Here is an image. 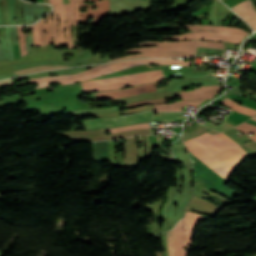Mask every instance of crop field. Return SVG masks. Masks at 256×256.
Here are the masks:
<instances>
[{
  "label": "crop field",
  "mask_w": 256,
  "mask_h": 256,
  "mask_svg": "<svg viewBox=\"0 0 256 256\" xmlns=\"http://www.w3.org/2000/svg\"><path fill=\"white\" fill-rule=\"evenodd\" d=\"M184 143L189 152L227 181L246 158V152L223 133L210 135L206 132ZM191 153L189 155L194 164L195 178L225 198L232 200L238 193L225 187L227 181Z\"/></svg>",
  "instance_id": "crop-field-1"
},
{
  "label": "crop field",
  "mask_w": 256,
  "mask_h": 256,
  "mask_svg": "<svg viewBox=\"0 0 256 256\" xmlns=\"http://www.w3.org/2000/svg\"><path fill=\"white\" fill-rule=\"evenodd\" d=\"M183 113H140L118 118H104L81 121L85 130L129 126L143 122H179L185 118ZM186 117V116H185Z\"/></svg>",
  "instance_id": "crop-field-2"
},
{
  "label": "crop field",
  "mask_w": 256,
  "mask_h": 256,
  "mask_svg": "<svg viewBox=\"0 0 256 256\" xmlns=\"http://www.w3.org/2000/svg\"><path fill=\"white\" fill-rule=\"evenodd\" d=\"M165 80L162 71H154L118 78L82 82L85 92L113 90Z\"/></svg>",
  "instance_id": "crop-field-3"
},
{
  "label": "crop field",
  "mask_w": 256,
  "mask_h": 256,
  "mask_svg": "<svg viewBox=\"0 0 256 256\" xmlns=\"http://www.w3.org/2000/svg\"><path fill=\"white\" fill-rule=\"evenodd\" d=\"M155 85L156 83L147 84L131 89L96 93V96L97 100L100 101L108 98L153 92L156 91ZM219 90H221V88H219L218 86L201 87L200 89H195L194 91H182L179 97L181 99H211L214 94Z\"/></svg>",
  "instance_id": "crop-field-4"
},
{
  "label": "crop field",
  "mask_w": 256,
  "mask_h": 256,
  "mask_svg": "<svg viewBox=\"0 0 256 256\" xmlns=\"http://www.w3.org/2000/svg\"><path fill=\"white\" fill-rule=\"evenodd\" d=\"M191 62H192V60H188V62H184L183 60H168V59H142V60H135V61L119 62L113 66L103 68L93 74L86 75L81 78H77V79H73V80H59V81H49V82L40 83V84H38L39 87H37V89L49 87V83H53V82H60L61 85L68 84V83H74V82H82V81H85V80H88L91 78L106 75V74H109L112 72L123 70V69L129 68V67H133L136 65L154 63V64H176V65L190 66Z\"/></svg>",
  "instance_id": "crop-field-5"
},
{
  "label": "crop field",
  "mask_w": 256,
  "mask_h": 256,
  "mask_svg": "<svg viewBox=\"0 0 256 256\" xmlns=\"http://www.w3.org/2000/svg\"><path fill=\"white\" fill-rule=\"evenodd\" d=\"M163 37L168 40L203 39V40L223 41V42H231V43H240L241 40L244 38L243 36L213 33V32H193V33L176 35L172 37H168V36H163Z\"/></svg>",
  "instance_id": "crop-field-6"
},
{
  "label": "crop field",
  "mask_w": 256,
  "mask_h": 256,
  "mask_svg": "<svg viewBox=\"0 0 256 256\" xmlns=\"http://www.w3.org/2000/svg\"><path fill=\"white\" fill-rule=\"evenodd\" d=\"M83 1H86V0H77L79 22L88 23L87 18L92 16L94 18V20L92 22H90L89 24L97 25L99 20L101 18L105 17V13L107 11H109V0H103L101 2H99L98 0H90V1H95V3L92 5L84 4ZM86 5L89 6L87 8V12H80L79 8L84 7ZM92 6H98V8L95 10H91Z\"/></svg>",
  "instance_id": "crop-field-7"
},
{
  "label": "crop field",
  "mask_w": 256,
  "mask_h": 256,
  "mask_svg": "<svg viewBox=\"0 0 256 256\" xmlns=\"http://www.w3.org/2000/svg\"><path fill=\"white\" fill-rule=\"evenodd\" d=\"M231 8L256 31V11L250 0L243 1Z\"/></svg>",
  "instance_id": "crop-field-8"
},
{
  "label": "crop field",
  "mask_w": 256,
  "mask_h": 256,
  "mask_svg": "<svg viewBox=\"0 0 256 256\" xmlns=\"http://www.w3.org/2000/svg\"><path fill=\"white\" fill-rule=\"evenodd\" d=\"M196 51L197 48L191 47H145L127 50V54L137 52H186L196 54Z\"/></svg>",
  "instance_id": "crop-field-9"
},
{
  "label": "crop field",
  "mask_w": 256,
  "mask_h": 256,
  "mask_svg": "<svg viewBox=\"0 0 256 256\" xmlns=\"http://www.w3.org/2000/svg\"><path fill=\"white\" fill-rule=\"evenodd\" d=\"M191 31H197V30H214L217 32H226V33H232V34H239L243 36H247L249 33L232 28V27H220V26H205V25H186Z\"/></svg>",
  "instance_id": "crop-field-10"
},
{
  "label": "crop field",
  "mask_w": 256,
  "mask_h": 256,
  "mask_svg": "<svg viewBox=\"0 0 256 256\" xmlns=\"http://www.w3.org/2000/svg\"><path fill=\"white\" fill-rule=\"evenodd\" d=\"M174 241L177 256H186V250L183 243V225L182 220L178 222L176 228L174 229Z\"/></svg>",
  "instance_id": "crop-field-11"
},
{
  "label": "crop field",
  "mask_w": 256,
  "mask_h": 256,
  "mask_svg": "<svg viewBox=\"0 0 256 256\" xmlns=\"http://www.w3.org/2000/svg\"><path fill=\"white\" fill-rule=\"evenodd\" d=\"M115 64V63H113ZM109 65H112V64H102V65H99L97 67H94L92 69H89V70H86L84 72H81V73H78V74H75V75H71V76H52V77H41V78H36V79H31L30 82L31 84H34V83H39V82H44V81H49V80H59V79H71V78H76V77H80V76H83V75H86V74H90L102 67H105V66H109Z\"/></svg>",
  "instance_id": "crop-field-12"
},
{
  "label": "crop field",
  "mask_w": 256,
  "mask_h": 256,
  "mask_svg": "<svg viewBox=\"0 0 256 256\" xmlns=\"http://www.w3.org/2000/svg\"><path fill=\"white\" fill-rule=\"evenodd\" d=\"M33 29V38L35 46H44L46 45L44 39V30H45V20L41 19L36 25L26 26Z\"/></svg>",
  "instance_id": "crop-field-13"
},
{
  "label": "crop field",
  "mask_w": 256,
  "mask_h": 256,
  "mask_svg": "<svg viewBox=\"0 0 256 256\" xmlns=\"http://www.w3.org/2000/svg\"><path fill=\"white\" fill-rule=\"evenodd\" d=\"M190 56H195V55L185 54V53H142V54H138V55L113 59L108 62H113L116 60H123V59L137 58V57H190Z\"/></svg>",
  "instance_id": "crop-field-14"
},
{
  "label": "crop field",
  "mask_w": 256,
  "mask_h": 256,
  "mask_svg": "<svg viewBox=\"0 0 256 256\" xmlns=\"http://www.w3.org/2000/svg\"><path fill=\"white\" fill-rule=\"evenodd\" d=\"M108 145L107 142L94 143V161H107Z\"/></svg>",
  "instance_id": "crop-field-15"
},
{
  "label": "crop field",
  "mask_w": 256,
  "mask_h": 256,
  "mask_svg": "<svg viewBox=\"0 0 256 256\" xmlns=\"http://www.w3.org/2000/svg\"><path fill=\"white\" fill-rule=\"evenodd\" d=\"M139 47L151 46V45H163V46H192L197 47V41H177V42H142L138 43Z\"/></svg>",
  "instance_id": "crop-field-16"
},
{
  "label": "crop field",
  "mask_w": 256,
  "mask_h": 256,
  "mask_svg": "<svg viewBox=\"0 0 256 256\" xmlns=\"http://www.w3.org/2000/svg\"><path fill=\"white\" fill-rule=\"evenodd\" d=\"M64 6H65V12H66V43L68 48L72 49L74 46L72 45V36H71L72 16L70 12V4H67Z\"/></svg>",
  "instance_id": "crop-field-17"
},
{
  "label": "crop field",
  "mask_w": 256,
  "mask_h": 256,
  "mask_svg": "<svg viewBox=\"0 0 256 256\" xmlns=\"http://www.w3.org/2000/svg\"><path fill=\"white\" fill-rule=\"evenodd\" d=\"M58 14H59V42L60 46L66 45L64 40V25H65V12L63 5H59Z\"/></svg>",
  "instance_id": "crop-field-18"
},
{
  "label": "crop field",
  "mask_w": 256,
  "mask_h": 256,
  "mask_svg": "<svg viewBox=\"0 0 256 256\" xmlns=\"http://www.w3.org/2000/svg\"><path fill=\"white\" fill-rule=\"evenodd\" d=\"M52 35H53L54 47H59V43H58V14H57L56 6H53Z\"/></svg>",
  "instance_id": "crop-field-19"
},
{
  "label": "crop field",
  "mask_w": 256,
  "mask_h": 256,
  "mask_svg": "<svg viewBox=\"0 0 256 256\" xmlns=\"http://www.w3.org/2000/svg\"><path fill=\"white\" fill-rule=\"evenodd\" d=\"M232 112H233V110H232ZM249 118H251V116H247V115H243V114H239V113L233 112L230 116H228L225 119V121L230 123V124H232V125H234V126H236V125L244 122L245 120H247Z\"/></svg>",
  "instance_id": "crop-field-20"
},
{
  "label": "crop field",
  "mask_w": 256,
  "mask_h": 256,
  "mask_svg": "<svg viewBox=\"0 0 256 256\" xmlns=\"http://www.w3.org/2000/svg\"><path fill=\"white\" fill-rule=\"evenodd\" d=\"M68 66H39L35 68H29V69H23L19 71H15L17 75L24 74V73H29V72H35V71H41V70H50V69H59V68H65Z\"/></svg>",
  "instance_id": "crop-field-21"
},
{
  "label": "crop field",
  "mask_w": 256,
  "mask_h": 256,
  "mask_svg": "<svg viewBox=\"0 0 256 256\" xmlns=\"http://www.w3.org/2000/svg\"><path fill=\"white\" fill-rule=\"evenodd\" d=\"M141 128H150V125L149 123H143V124H137L129 127L103 129V130H110L111 133H116V132H124V131L136 130Z\"/></svg>",
  "instance_id": "crop-field-22"
},
{
  "label": "crop field",
  "mask_w": 256,
  "mask_h": 256,
  "mask_svg": "<svg viewBox=\"0 0 256 256\" xmlns=\"http://www.w3.org/2000/svg\"><path fill=\"white\" fill-rule=\"evenodd\" d=\"M235 128L243 131L246 135L250 132L253 133L254 134L253 136L250 137L249 135L248 137L251 138L256 143V127L255 126L243 123L241 125L236 126Z\"/></svg>",
  "instance_id": "crop-field-23"
},
{
  "label": "crop field",
  "mask_w": 256,
  "mask_h": 256,
  "mask_svg": "<svg viewBox=\"0 0 256 256\" xmlns=\"http://www.w3.org/2000/svg\"><path fill=\"white\" fill-rule=\"evenodd\" d=\"M17 29H18V37H19V43H20V49H21V56H23L27 54L24 33L21 31L22 29H24V27H17Z\"/></svg>",
  "instance_id": "crop-field-24"
},
{
  "label": "crop field",
  "mask_w": 256,
  "mask_h": 256,
  "mask_svg": "<svg viewBox=\"0 0 256 256\" xmlns=\"http://www.w3.org/2000/svg\"><path fill=\"white\" fill-rule=\"evenodd\" d=\"M167 241L169 256H174L173 229L168 231Z\"/></svg>",
  "instance_id": "crop-field-25"
},
{
  "label": "crop field",
  "mask_w": 256,
  "mask_h": 256,
  "mask_svg": "<svg viewBox=\"0 0 256 256\" xmlns=\"http://www.w3.org/2000/svg\"><path fill=\"white\" fill-rule=\"evenodd\" d=\"M198 47H209V48H222V49H224L223 43H217V42L198 41Z\"/></svg>",
  "instance_id": "crop-field-26"
},
{
  "label": "crop field",
  "mask_w": 256,
  "mask_h": 256,
  "mask_svg": "<svg viewBox=\"0 0 256 256\" xmlns=\"http://www.w3.org/2000/svg\"><path fill=\"white\" fill-rule=\"evenodd\" d=\"M70 1H71V9H72V16H73V26H77L78 16H77L76 0H70Z\"/></svg>",
  "instance_id": "crop-field-27"
},
{
  "label": "crop field",
  "mask_w": 256,
  "mask_h": 256,
  "mask_svg": "<svg viewBox=\"0 0 256 256\" xmlns=\"http://www.w3.org/2000/svg\"><path fill=\"white\" fill-rule=\"evenodd\" d=\"M205 125L210 126V127L214 128V129H216L217 131H225V130L231 128V127L227 126L228 124L226 125L224 122L216 126V125H214V124H212V123L207 121L205 123Z\"/></svg>",
  "instance_id": "crop-field-28"
},
{
  "label": "crop field",
  "mask_w": 256,
  "mask_h": 256,
  "mask_svg": "<svg viewBox=\"0 0 256 256\" xmlns=\"http://www.w3.org/2000/svg\"><path fill=\"white\" fill-rule=\"evenodd\" d=\"M160 103H166L165 101H161V102H156V103H143V104H139V105H136V106H131L129 108H133V107H137V106H142V105H147V104H160Z\"/></svg>",
  "instance_id": "crop-field-29"
},
{
  "label": "crop field",
  "mask_w": 256,
  "mask_h": 256,
  "mask_svg": "<svg viewBox=\"0 0 256 256\" xmlns=\"http://www.w3.org/2000/svg\"><path fill=\"white\" fill-rule=\"evenodd\" d=\"M2 84H13V81H12V79L0 81V85H2Z\"/></svg>",
  "instance_id": "crop-field-30"
},
{
  "label": "crop field",
  "mask_w": 256,
  "mask_h": 256,
  "mask_svg": "<svg viewBox=\"0 0 256 256\" xmlns=\"http://www.w3.org/2000/svg\"><path fill=\"white\" fill-rule=\"evenodd\" d=\"M56 1H57V4L63 3V1H64V3H70L69 0H63V1L62 0H56Z\"/></svg>",
  "instance_id": "crop-field-31"
},
{
  "label": "crop field",
  "mask_w": 256,
  "mask_h": 256,
  "mask_svg": "<svg viewBox=\"0 0 256 256\" xmlns=\"http://www.w3.org/2000/svg\"><path fill=\"white\" fill-rule=\"evenodd\" d=\"M247 123H251V124H253V125L256 126V121H254V120H252V119L248 120Z\"/></svg>",
  "instance_id": "crop-field-32"
},
{
  "label": "crop field",
  "mask_w": 256,
  "mask_h": 256,
  "mask_svg": "<svg viewBox=\"0 0 256 256\" xmlns=\"http://www.w3.org/2000/svg\"><path fill=\"white\" fill-rule=\"evenodd\" d=\"M51 4H56L55 0H50Z\"/></svg>",
  "instance_id": "crop-field-33"
},
{
  "label": "crop field",
  "mask_w": 256,
  "mask_h": 256,
  "mask_svg": "<svg viewBox=\"0 0 256 256\" xmlns=\"http://www.w3.org/2000/svg\"><path fill=\"white\" fill-rule=\"evenodd\" d=\"M252 119L256 120V116H255V117H253Z\"/></svg>",
  "instance_id": "crop-field-34"
}]
</instances>
